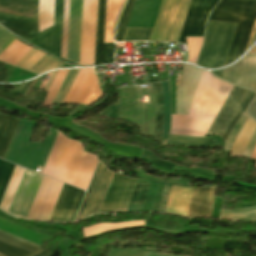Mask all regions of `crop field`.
I'll return each instance as SVG.
<instances>
[{
    "label": "crop field",
    "mask_w": 256,
    "mask_h": 256,
    "mask_svg": "<svg viewBox=\"0 0 256 256\" xmlns=\"http://www.w3.org/2000/svg\"><path fill=\"white\" fill-rule=\"evenodd\" d=\"M98 160L58 133L43 174L86 190Z\"/></svg>",
    "instance_id": "1"
},
{
    "label": "crop field",
    "mask_w": 256,
    "mask_h": 256,
    "mask_svg": "<svg viewBox=\"0 0 256 256\" xmlns=\"http://www.w3.org/2000/svg\"><path fill=\"white\" fill-rule=\"evenodd\" d=\"M236 25L215 21L209 22L198 66L209 69L222 67Z\"/></svg>",
    "instance_id": "2"
},
{
    "label": "crop field",
    "mask_w": 256,
    "mask_h": 256,
    "mask_svg": "<svg viewBox=\"0 0 256 256\" xmlns=\"http://www.w3.org/2000/svg\"><path fill=\"white\" fill-rule=\"evenodd\" d=\"M255 94L254 92L233 86L207 134L220 135L226 140L229 132L243 114Z\"/></svg>",
    "instance_id": "3"
},
{
    "label": "crop field",
    "mask_w": 256,
    "mask_h": 256,
    "mask_svg": "<svg viewBox=\"0 0 256 256\" xmlns=\"http://www.w3.org/2000/svg\"><path fill=\"white\" fill-rule=\"evenodd\" d=\"M253 1L222 0L210 20L238 23L224 65L231 63Z\"/></svg>",
    "instance_id": "4"
},
{
    "label": "crop field",
    "mask_w": 256,
    "mask_h": 256,
    "mask_svg": "<svg viewBox=\"0 0 256 256\" xmlns=\"http://www.w3.org/2000/svg\"><path fill=\"white\" fill-rule=\"evenodd\" d=\"M113 174L99 162L76 220L99 211Z\"/></svg>",
    "instance_id": "5"
},
{
    "label": "crop field",
    "mask_w": 256,
    "mask_h": 256,
    "mask_svg": "<svg viewBox=\"0 0 256 256\" xmlns=\"http://www.w3.org/2000/svg\"><path fill=\"white\" fill-rule=\"evenodd\" d=\"M43 176L25 170L8 213L27 218Z\"/></svg>",
    "instance_id": "6"
},
{
    "label": "crop field",
    "mask_w": 256,
    "mask_h": 256,
    "mask_svg": "<svg viewBox=\"0 0 256 256\" xmlns=\"http://www.w3.org/2000/svg\"><path fill=\"white\" fill-rule=\"evenodd\" d=\"M135 181L115 173L99 212L126 211Z\"/></svg>",
    "instance_id": "7"
},
{
    "label": "crop field",
    "mask_w": 256,
    "mask_h": 256,
    "mask_svg": "<svg viewBox=\"0 0 256 256\" xmlns=\"http://www.w3.org/2000/svg\"><path fill=\"white\" fill-rule=\"evenodd\" d=\"M62 185L44 176L27 219L48 220Z\"/></svg>",
    "instance_id": "8"
},
{
    "label": "crop field",
    "mask_w": 256,
    "mask_h": 256,
    "mask_svg": "<svg viewBox=\"0 0 256 256\" xmlns=\"http://www.w3.org/2000/svg\"><path fill=\"white\" fill-rule=\"evenodd\" d=\"M202 72L193 66L184 65L176 87V114H188Z\"/></svg>",
    "instance_id": "9"
},
{
    "label": "crop field",
    "mask_w": 256,
    "mask_h": 256,
    "mask_svg": "<svg viewBox=\"0 0 256 256\" xmlns=\"http://www.w3.org/2000/svg\"><path fill=\"white\" fill-rule=\"evenodd\" d=\"M217 2L218 0H191L179 42L186 44L185 36H203L205 19Z\"/></svg>",
    "instance_id": "10"
},
{
    "label": "crop field",
    "mask_w": 256,
    "mask_h": 256,
    "mask_svg": "<svg viewBox=\"0 0 256 256\" xmlns=\"http://www.w3.org/2000/svg\"><path fill=\"white\" fill-rule=\"evenodd\" d=\"M231 88L232 85L211 76L195 116L215 117Z\"/></svg>",
    "instance_id": "11"
},
{
    "label": "crop field",
    "mask_w": 256,
    "mask_h": 256,
    "mask_svg": "<svg viewBox=\"0 0 256 256\" xmlns=\"http://www.w3.org/2000/svg\"><path fill=\"white\" fill-rule=\"evenodd\" d=\"M85 192L63 185L49 220L74 221Z\"/></svg>",
    "instance_id": "12"
},
{
    "label": "crop field",
    "mask_w": 256,
    "mask_h": 256,
    "mask_svg": "<svg viewBox=\"0 0 256 256\" xmlns=\"http://www.w3.org/2000/svg\"><path fill=\"white\" fill-rule=\"evenodd\" d=\"M181 0H162L149 40H169Z\"/></svg>",
    "instance_id": "13"
},
{
    "label": "crop field",
    "mask_w": 256,
    "mask_h": 256,
    "mask_svg": "<svg viewBox=\"0 0 256 256\" xmlns=\"http://www.w3.org/2000/svg\"><path fill=\"white\" fill-rule=\"evenodd\" d=\"M82 0H70L67 60L78 64Z\"/></svg>",
    "instance_id": "14"
},
{
    "label": "crop field",
    "mask_w": 256,
    "mask_h": 256,
    "mask_svg": "<svg viewBox=\"0 0 256 256\" xmlns=\"http://www.w3.org/2000/svg\"><path fill=\"white\" fill-rule=\"evenodd\" d=\"M63 0H55L54 27L43 33L35 42L60 57Z\"/></svg>",
    "instance_id": "15"
},
{
    "label": "crop field",
    "mask_w": 256,
    "mask_h": 256,
    "mask_svg": "<svg viewBox=\"0 0 256 256\" xmlns=\"http://www.w3.org/2000/svg\"><path fill=\"white\" fill-rule=\"evenodd\" d=\"M214 193L215 187L207 189H193L186 216L210 218Z\"/></svg>",
    "instance_id": "16"
},
{
    "label": "crop field",
    "mask_w": 256,
    "mask_h": 256,
    "mask_svg": "<svg viewBox=\"0 0 256 256\" xmlns=\"http://www.w3.org/2000/svg\"><path fill=\"white\" fill-rule=\"evenodd\" d=\"M233 70L236 85L256 90V55H245Z\"/></svg>",
    "instance_id": "17"
},
{
    "label": "crop field",
    "mask_w": 256,
    "mask_h": 256,
    "mask_svg": "<svg viewBox=\"0 0 256 256\" xmlns=\"http://www.w3.org/2000/svg\"><path fill=\"white\" fill-rule=\"evenodd\" d=\"M38 0H0V13L37 20Z\"/></svg>",
    "instance_id": "18"
},
{
    "label": "crop field",
    "mask_w": 256,
    "mask_h": 256,
    "mask_svg": "<svg viewBox=\"0 0 256 256\" xmlns=\"http://www.w3.org/2000/svg\"><path fill=\"white\" fill-rule=\"evenodd\" d=\"M35 20L23 19L0 14V23L18 36L34 37L36 34Z\"/></svg>",
    "instance_id": "19"
},
{
    "label": "crop field",
    "mask_w": 256,
    "mask_h": 256,
    "mask_svg": "<svg viewBox=\"0 0 256 256\" xmlns=\"http://www.w3.org/2000/svg\"><path fill=\"white\" fill-rule=\"evenodd\" d=\"M18 122V120L0 114V157L3 159L6 156Z\"/></svg>",
    "instance_id": "20"
},
{
    "label": "crop field",
    "mask_w": 256,
    "mask_h": 256,
    "mask_svg": "<svg viewBox=\"0 0 256 256\" xmlns=\"http://www.w3.org/2000/svg\"><path fill=\"white\" fill-rule=\"evenodd\" d=\"M125 0H106L104 43H113V28Z\"/></svg>",
    "instance_id": "21"
},
{
    "label": "crop field",
    "mask_w": 256,
    "mask_h": 256,
    "mask_svg": "<svg viewBox=\"0 0 256 256\" xmlns=\"http://www.w3.org/2000/svg\"><path fill=\"white\" fill-rule=\"evenodd\" d=\"M104 15H105V0H98L95 65L100 64V61H102L103 64L105 63L104 49H103Z\"/></svg>",
    "instance_id": "22"
},
{
    "label": "crop field",
    "mask_w": 256,
    "mask_h": 256,
    "mask_svg": "<svg viewBox=\"0 0 256 256\" xmlns=\"http://www.w3.org/2000/svg\"><path fill=\"white\" fill-rule=\"evenodd\" d=\"M255 128L256 123L248 117L235 144L231 149L230 155L242 157Z\"/></svg>",
    "instance_id": "23"
},
{
    "label": "crop field",
    "mask_w": 256,
    "mask_h": 256,
    "mask_svg": "<svg viewBox=\"0 0 256 256\" xmlns=\"http://www.w3.org/2000/svg\"><path fill=\"white\" fill-rule=\"evenodd\" d=\"M24 170H25L24 168L19 167L17 165L14 168V171L12 173V176L10 178V181L8 183V186L5 190V193H4L1 203H0V207L2 209H4L5 211H8V209H9V206L14 197V194L16 192V189L18 187V184L20 182V179L23 175Z\"/></svg>",
    "instance_id": "24"
},
{
    "label": "crop field",
    "mask_w": 256,
    "mask_h": 256,
    "mask_svg": "<svg viewBox=\"0 0 256 256\" xmlns=\"http://www.w3.org/2000/svg\"><path fill=\"white\" fill-rule=\"evenodd\" d=\"M54 0H39L38 31L39 33L53 25Z\"/></svg>",
    "instance_id": "25"
},
{
    "label": "crop field",
    "mask_w": 256,
    "mask_h": 256,
    "mask_svg": "<svg viewBox=\"0 0 256 256\" xmlns=\"http://www.w3.org/2000/svg\"><path fill=\"white\" fill-rule=\"evenodd\" d=\"M141 225H144V220L123 222V223H113V224H108V223L96 224V225L82 228L83 238L90 235H94V234H98V233H102V232H106V231H110V230H114L122 227L141 226Z\"/></svg>",
    "instance_id": "26"
},
{
    "label": "crop field",
    "mask_w": 256,
    "mask_h": 256,
    "mask_svg": "<svg viewBox=\"0 0 256 256\" xmlns=\"http://www.w3.org/2000/svg\"><path fill=\"white\" fill-rule=\"evenodd\" d=\"M215 141L216 140L213 138L170 135L168 144L184 145V146L213 147Z\"/></svg>",
    "instance_id": "27"
},
{
    "label": "crop field",
    "mask_w": 256,
    "mask_h": 256,
    "mask_svg": "<svg viewBox=\"0 0 256 256\" xmlns=\"http://www.w3.org/2000/svg\"><path fill=\"white\" fill-rule=\"evenodd\" d=\"M0 241L16 248L22 249L34 255L40 254L42 252V247L36 244L30 243L28 241L22 240L20 238L14 237L12 235L6 234L0 231Z\"/></svg>",
    "instance_id": "28"
},
{
    "label": "crop field",
    "mask_w": 256,
    "mask_h": 256,
    "mask_svg": "<svg viewBox=\"0 0 256 256\" xmlns=\"http://www.w3.org/2000/svg\"><path fill=\"white\" fill-rule=\"evenodd\" d=\"M156 102V125L154 139L161 143L163 124V98L160 83L153 84Z\"/></svg>",
    "instance_id": "29"
},
{
    "label": "crop field",
    "mask_w": 256,
    "mask_h": 256,
    "mask_svg": "<svg viewBox=\"0 0 256 256\" xmlns=\"http://www.w3.org/2000/svg\"><path fill=\"white\" fill-rule=\"evenodd\" d=\"M255 16H256V1L253 2L252 8L250 10L247 22L245 24L241 39L239 41L236 53L234 55L233 61L236 60L240 55H242L245 51L246 45H247V41L255 20ZM232 61V62H233Z\"/></svg>",
    "instance_id": "30"
},
{
    "label": "crop field",
    "mask_w": 256,
    "mask_h": 256,
    "mask_svg": "<svg viewBox=\"0 0 256 256\" xmlns=\"http://www.w3.org/2000/svg\"><path fill=\"white\" fill-rule=\"evenodd\" d=\"M135 0H128L127 4L121 14L120 20H119V24H118V28H117V37H116V41H122L123 40V36L125 33V29L127 27L128 24V20L132 11V7L134 4Z\"/></svg>",
    "instance_id": "31"
},
{
    "label": "crop field",
    "mask_w": 256,
    "mask_h": 256,
    "mask_svg": "<svg viewBox=\"0 0 256 256\" xmlns=\"http://www.w3.org/2000/svg\"><path fill=\"white\" fill-rule=\"evenodd\" d=\"M62 62H59L49 55H45L38 63H36L30 71L41 74L52 68H61Z\"/></svg>",
    "instance_id": "32"
},
{
    "label": "crop field",
    "mask_w": 256,
    "mask_h": 256,
    "mask_svg": "<svg viewBox=\"0 0 256 256\" xmlns=\"http://www.w3.org/2000/svg\"><path fill=\"white\" fill-rule=\"evenodd\" d=\"M190 0H182L177 18H176V22L170 37L169 41H177L180 31H181V27L188 9V5H189Z\"/></svg>",
    "instance_id": "33"
},
{
    "label": "crop field",
    "mask_w": 256,
    "mask_h": 256,
    "mask_svg": "<svg viewBox=\"0 0 256 256\" xmlns=\"http://www.w3.org/2000/svg\"><path fill=\"white\" fill-rule=\"evenodd\" d=\"M210 76H211V74H209L208 72H206V71L203 72L202 78L200 80L197 92L195 94V97H194V100H193V103H192V106L190 108V111H189L188 115H191V116L195 115L196 110H197L198 105L201 101V98L203 96V93L205 91V88L207 86V83L209 81Z\"/></svg>",
    "instance_id": "34"
},
{
    "label": "crop field",
    "mask_w": 256,
    "mask_h": 256,
    "mask_svg": "<svg viewBox=\"0 0 256 256\" xmlns=\"http://www.w3.org/2000/svg\"><path fill=\"white\" fill-rule=\"evenodd\" d=\"M149 183L150 182H147V181H140V180L136 181V185H135L130 203H137V204L145 203Z\"/></svg>",
    "instance_id": "35"
},
{
    "label": "crop field",
    "mask_w": 256,
    "mask_h": 256,
    "mask_svg": "<svg viewBox=\"0 0 256 256\" xmlns=\"http://www.w3.org/2000/svg\"><path fill=\"white\" fill-rule=\"evenodd\" d=\"M242 210L243 211H239V210L222 211L220 219L227 220V221H237L236 218L256 216V207H251V208L242 209Z\"/></svg>",
    "instance_id": "36"
},
{
    "label": "crop field",
    "mask_w": 256,
    "mask_h": 256,
    "mask_svg": "<svg viewBox=\"0 0 256 256\" xmlns=\"http://www.w3.org/2000/svg\"><path fill=\"white\" fill-rule=\"evenodd\" d=\"M14 164L0 160V200L9 181Z\"/></svg>",
    "instance_id": "37"
},
{
    "label": "crop field",
    "mask_w": 256,
    "mask_h": 256,
    "mask_svg": "<svg viewBox=\"0 0 256 256\" xmlns=\"http://www.w3.org/2000/svg\"><path fill=\"white\" fill-rule=\"evenodd\" d=\"M202 39L203 37H186L189 52V63H196Z\"/></svg>",
    "instance_id": "38"
},
{
    "label": "crop field",
    "mask_w": 256,
    "mask_h": 256,
    "mask_svg": "<svg viewBox=\"0 0 256 256\" xmlns=\"http://www.w3.org/2000/svg\"><path fill=\"white\" fill-rule=\"evenodd\" d=\"M69 0H64L61 57L66 59Z\"/></svg>",
    "instance_id": "39"
},
{
    "label": "crop field",
    "mask_w": 256,
    "mask_h": 256,
    "mask_svg": "<svg viewBox=\"0 0 256 256\" xmlns=\"http://www.w3.org/2000/svg\"><path fill=\"white\" fill-rule=\"evenodd\" d=\"M152 29L127 28L123 41L148 40Z\"/></svg>",
    "instance_id": "40"
},
{
    "label": "crop field",
    "mask_w": 256,
    "mask_h": 256,
    "mask_svg": "<svg viewBox=\"0 0 256 256\" xmlns=\"http://www.w3.org/2000/svg\"><path fill=\"white\" fill-rule=\"evenodd\" d=\"M248 115V114H247ZM246 113L244 112V114L242 115V117L239 119V121L237 122V124L235 125V127L232 129L230 135L228 136L226 142H225V146H224V150L225 151H230L232 145L234 144L243 124L245 123L247 116Z\"/></svg>",
    "instance_id": "41"
},
{
    "label": "crop field",
    "mask_w": 256,
    "mask_h": 256,
    "mask_svg": "<svg viewBox=\"0 0 256 256\" xmlns=\"http://www.w3.org/2000/svg\"><path fill=\"white\" fill-rule=\"evenodd\" d=\"M0 252L9 256H34L9 245L0 242Z\"/></svg>",
    "instance_id": "42"
},
{
    "label": "crop field",
    "mask_w": 256,
    "mask_h": 256,
    "mask_svg": "<svg viewBox=\"0 0 256 256\" xmlns=\"http://www.w3.org/2000/svg\"><path fill=\"white\" fill-rule=\"evenodd\" d=\"M15 38L7 30L0 26V52L6 48ZM5 50V49H4ZM3 50V51H4ZM2 51V52H3ZM1 52V53H2ZM0 53V54H1Z\"/></svg>",
    "instance_id": "43"
},
{
    "label": "crop field",
    "mask_w": 256,
    "mask_h": 256,
    "mask_svg": "<svg viewBox=\"0 0 256 256\" xmlns=\"http://www.w3.org/2000/svg\"><path fill=\"white\" fill-rule=\"evenodd\" d=\"M45 54L40 52V51H36L29 59H27L21 66L20 68H24L29 70L37 61H39Z\"/></svg>",
    "instance_id": "44"
},
{
    "label": "crop field",
    "mask_w": 256,
    "mask_h": 256,
    "mask_svg": "<svg viewBox=\"0 0 256 256\" xmlns=\"http://www.w3.org/2000/svg\"><path fill=\"white\" fill-rule=\"evenodd\" d=\"M73 71L74 70H69L68 74L66 75L64 81L62 82V84H61V86H60L56 96L54 97L53 101L51 102L50 106L53 107V104L56 103L58 101V99L60 98V96H61V94H62V92H63V90H64V88H65V86H66V84H67V82H68V80L70 78V76H71V74L73 73Z\"/></svg>",
    "instance_id": "45"
},
{
    "label": "crop field",
    "mask_w": 256,
    "mask_h": 256,
    "mask_svg": "<svg viewBox=\"0 0 256 256\" xmlns=\"http://www.w3.org/2000/svg\"><path fill=\"white\" fill-rule=\"evenodd\" d=\"M221 74L223 79L234 84L232 66L226 69H222Z\"/></svg>",
    "instance_id": "46"
},
{
    "label": "crop field",
    "mask_w": 256,
    "mask_h": 256,
    "mask_svg": "<svg viewBox=\"0 0 256 256\" xmlns=\"http://www.w3.org/2000/svg\"><path fill=\"white\" fill-rule=\"evenodd\" d=\"M255 145H256V130H255V132H254V134L251 138V141H250L243 157L249 158L253 149H254V147H255Z\"/></svg>",
    "instance_id": "47"
},
{
    "label": "crop field",
    "mask_w": 256,
    "mask_h": 256,
    "mask_svg": "<svg viewBox=\"0 0 256 256\" xmlns=\"http://www.w3.org/2000/svg\"><path fill=\"white\" fill-rule=\"evenodd\" d=\"M78 71H79V69H78V70H75V72L73 73V75H72V77H71V79H70V81H69V83H68L66 89L64 90V92H63V94H62V96H61V98H60V100H59L60 103H62L63 100L65 99V97H66V95H67V93H68V91H69V89H70V87H71V85H72V83H73V81H74V79H75V77H76Z\"/></svg>",
    "instance_id": "48"
},
{
    "label": "crop field",
    "mask_w": 256,
    "mask_h": 256,
    "mask_svg": "<svg viewBox=\"0 0 256 256\" xmlns=\"http://www.w3.org/2000/svg\"><path fill=\"white\" fill-rule=\"evenodd\" d=\"M106 63H113L111 44H104Z\"/></svg>",
    "instance_id": "49"
},
{
    "label": "crop field",
    "mask_w": 256,
    "mask_h": 256,
    "mask_svg": "<svg viewBox=\"0 0 256 256\" xmlns=\"http://www.w3.org/2000/svg\"><path fill=\"white\" fill-rule=\"evenodd\" d=\"M256 40V22L254 24V27L252 29V32H251V35H250V38H249V42H248V45H247V48L248 49Z\"/></svg>",
    "instance_id": "50"
},
{
    "label": "crop field",
    "mask_w": 256,
    "mask_h": 256,
    "mask_svg": "<svg viewBox=\"0 0 256 256\" xmlns=\"http://www.w3.org/2000/svg\"><path fill=\"white\" fill-rule=\"evenodd\" d=\"M248 112L256 120V98L249 107Z\"/></svg>",
    "instance_id": "51"
},
{
    "label": "crop field",
    "mask_w": 256,
    "mask_h": 256,
    "mask_svg": "<svg viewBox=\"0 0 256 256\" xmlns=\"http://www.w3.org/2000/svg\"><path fill=\"white\" fill-rule=\"evenodd\" d=\"M36 51V49L32 48L17 64L16 66H20L27 58H29L34 52Z\"/></svg>",
    "instance_id": "52"
},
{
    "label": "crop field",
    "mask_w": 256,
    "mask_h": 256,
    "mask_svg": "<svg viewBox=\"0 0 256 256\" xmlns=\"http://www.w3.org/2000/svg\"><path fill=\"white\" fill-rule=\"evenodd\" d=\"M57 72H58V71H54V72H53V74H52L50 80L48 81V83H47V85H46V87H45V89H44L45 91H47L49 85L51 84V82H52V80L54 79V77H55V75L57 74Z\"/></svg>",
    "instance_id": "53"
},
{
    "label": "crop field",
    "mask_w": 256,
    "mask_h": 256,
    "mask_svg": "<svg viewBox=\"0 0 256 256\" xmlns=\"http://www.w3.org/2000/svg\"><path fill=\"white\" fill-rule=\"evenodd\" d=\"M38 79V78H37ZM37 79H35L31 85L29 86V88L27 89V91L25 92L24 96L27 97L28 93L30 92L31 88L33 87V85L35 84V82L37 81Z\"/></svg>",
    "instance_id": "54"
},
{
    "label": "crop field",
    "mask_w": 256,
    "mask_h": 256,
    "mask_svg": "<svg viewBox=\"0 0 256 256\" xmlns=\"http://www.w3.org/2000/svg\"><path fill=\"white\" fill-rule=\"evenodd\" d=\"M31 83V81L30 82H28L26 85H25V87L23 88V90L20 92V94H19V96H23V94H24V92L26 91V89H27V87L29 86V84ZM31 85V84H30Z\"/></svg>",
    "instance_id": "55"
},
{
    "label": "crop field",
    "mask_w": 256,
    "mask_h": 256,
    "mask_svg": "<svg viewBox=\"0 0 256 256\" xmlns=\"http://www.w3.org/2000/svg\"><path fill=\"white\" fill-rule=\"evenodd\" d=\"M251 158L256 159V147H255V149H254V151H253V153H252ZM254 167H256V164H255V166H254Z\"/></svg>",
    "instance_id": "56"
},
{
    "label": "crop field",
    "mask_w": 256,
    "mask_h": 256,
    "mask_svg": "<svg viewBox=\"0 0 256 256\" xmlns=\"http://www.w3.org/2000/svg\"><path fill=\"white\" fill-rule=\"evenodd\" d=\"M249 53H256V45L249 51Z\"/></svg>",
    "instance_id": "57"
},
{
    "label": "crop field",
    "mask_w": 256,
    "mask_h": 256,
    "mask_svg": "<svg viewBox=\"0 0 256 256\" xmlns=\"http://www.w3.org/2000/svg\"><path fill=\"white\" fill-rule=\"evenodd\" d=\"M0 256H6V255L0 253Z\"/></svg>",
    "instance_id": "58"
}]
</instances>
